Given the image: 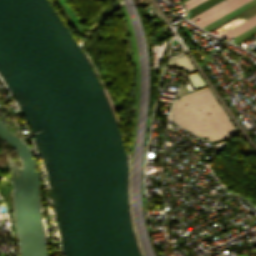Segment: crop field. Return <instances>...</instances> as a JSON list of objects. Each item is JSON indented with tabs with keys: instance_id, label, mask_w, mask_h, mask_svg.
Listing matches in <instances>:
<instances>
[{
	"instance_id": "crop-field-1",
	"label": "crop field",
	"mask_w": 256,
	"mask_h": 256,
	"mask_svg": "<svg viewBox=\"0 0 256 256\" xmlns=\"http://www.w3.org/2000/svg\"><path fill=\"white\" fill-rule=\"evenodd\" d=\"M170 119L211 143L239 135L209 88L175 99Z\"/></svg>"
}]
</instances>
